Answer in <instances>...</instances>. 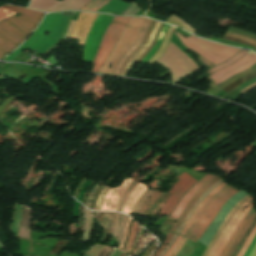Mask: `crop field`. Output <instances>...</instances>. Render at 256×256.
I'll use <instances>...</instances> for the list:
<instances>
[{"label":"crop field","mask_w":256,"mask_h":256,"mask_svg":"<svg viewBox=\"0 0 256 256\" xmlns=\"http://www.w3.org/2000/svg\"><path fill=\"white\" fill-rule=\"evenodd\" d=\"M109 2H110V0H92L80 10L96 11Z\"/></svg>","instance_id":"crop-field-30"},{"label":"crop field","mask_w":256,"mask_h":256,"mask_svg":"<svg viewBox=\"0 0 256 256\" xmlns=\"http://www.w3.org/2000/svg\"><path fill=\"white\" fill-rule=\"evenodd\" d=\"M254 205V203L252 202L251 205L244 209L242 214L240 215V217L238 218V220L235 222V224L232 226V228L229 230V232L227 233V235L225 236L224 240L222 241V243L220 244L219 248L217 249L216 253L214 256H219L220 252L222 251V249L224 248V246L226 245V243L228 242L229 238L231 237L232 233L234 232V230L236 229V227L238 226V224L240 223V221L243 219V217L246 215V213L250 210V208Z\"/></svg>","instance_id":"crop-field-22"},{"label":"crop field","mask_w":256,"mask_h":256,"mask_svg":"<svg viewBox=\"0 0 256 256\" xmlns=\"http://www.w3.org/2000/svg\"><path fill=\"white\" fill-rule=\"evenodd\" d=\"M75 12H63L62 14H64V15H73Z\"/></svg>","instance_id":"crop-field-57"},{"label":"crop field","mask_w":256,"mask_h":256,"mask_svg":"<svg viewBox=\"0 0 256 256\" xmlns=\"http://www.w3.org/2000/svg\"><path fill=\"white\" fill-rule=\"evenodd\" d=\"M120 213H116V218H115V226H114V232L113 235L117 237L118 229H119V223H120Z\"/></svg>","instance_id":"crop-field-39"},{"label":"crop field","mask_w":256,"mask_h":256,"mask_svg":"<svg viewBox=\"0 0 256 256\" xmlns=\"http://www.w3.org/2000/svg\"><path fill=\"white\" fill-rule=\"evenodd\" d=\"M250 197V195L246 196L245 198H243L241 201H239L232 209V211L228 214V216L225 218V220L223 221L222 225L220 226V228L218 229L217 233L215 234V236L213 237V239L211 240V242L209 243L205 253L203 256H206L208 254V252L210 251L211 247L213 246V244L215 243V241L217 240V238L219 237V235L221 234V232L223 231V229L226 227V225L229 223V221L231 220L232 216L234 215V213L248 200V198Z\"/></svg>","instance_id":"crop-field-16"},{"label":"crop field","mask_w":256,"mask_h":256,"mask_svg":"<svg viewBox=\"0 0 256 256\" xmlns=\"http://www.w3.org/2000/svg\"><path fill=\"white\" fill-rule=\"evenodd\" d=\"M9 9L21 15L3 22L1 20L17 13L0 7V59L19 46L44 15L14 6H9Z\"/></svg>","instance_id":"crop-field-1"},{"label":"crop field","mask_w":256,"mask_h":256,"mask_svg":"<svg viewBox=\"0 0 256 256\" xmlns=\"http://www.w3.org/2000/svg\"><path fill=\"white\" fill-rule=\"evenodd\" d=\"M185 241H186V238H183L180 245L175 249L174 253L171 256L176 255V253L180 250V248L182 247V245L184 244Z\"/></svg>","instance_id":"crop-field-49"},{"label":"crop field","mask_w":256,"mask_h":256,"mask_svg":"<svg viewBox=\"0 0 256 256\" xmlns=\"http://www.w3.org/2000/svg\"><path fill=\"white\" fill-rule=\"evenodd\" d=\"M151 21L152 20H150V19L146 20V22H145V24H144V26H143V28H142L138 38H137L135 44L133 45V47L126 54H124L122 56V58L120 59V61H119L118 65H117L113 75H118L119 74L121 68L123 67V65L125 64L127 59L130 57V55L132 53H134L135 50L141 45V43L143 41V38H144V36H145L149 26H150Z\"/></svg>","instance_id":"crop-field-15"},{"label":"crop field","mask_w":256,"mask_h":256,"mask_svg":"<svg viewBox=\"0 0 256 256\" xmlns=\"http://www.w3.org/2000/svg\"><path fill=\"white\" fill-rule=\"evenodd\" d=\"M113 17L114 16L101 14L96 18L94 25L87 36L82 60L92 62L101 39Z\"/></svg>","instance_id":"crop-field-9"},{"label":"crop field","mask_w":256,"mask_h":256,"mask_svg":"<svg viewBox=\"0 0 256 256\" xmlns=\"http://www.w3.org/2000/svg\"><path fill=\"white\" fill-rule=\"evenodd\" d=\"M132 180L125 179L120 187H116L115 189H110L106 194L103 204L100 208L101 211H115L117 204L124 194L125 190L129 186Z\"/></svg>","instance_id":"crop-field-12"},{"label":"crop field","mask_w":256,"mask_h":256,"mask_svg":"<svg viewBox=\"0 0 256 256\" xmlns=\"http://www.w3.org/2000/svg\"><path fill=\"white\" fill-rule=\"evenodd\" d=\"M255 70H256V68H254V69H252V70H249V71H247V72H245V73H243V74L237 76L236 78L232 79L231 81H229L228 83H226L225 85H223V86L220 87V88L222 89V88L226 87L227 85H229L230 83H232L233 81H235L236 79H238L239 77H241V76H243V75H245V74H248V73H250V72H253V71H255Z\"/></svg>","instance_id":"crop-field-44"},{"label":"crop field","mask_w":256,"mask_h":256,"mask_svg":"<svg viewBox=\"0 0 256 256\" xmlns=\"http://www.w3.org/2000/svg\"><path fill=\"white\" fill-rule=\"evenodd\" d=\"M168 28H169V25L165 24L164 28H163V30H162L159 38H158L157 44L150 50V52L147 54V56L144 58V60L142 62L147 63L148 60L152 57V55L157 51V49L159 48V46H160Z\"/></svg>","instance_id":"crop-field-29"},{"label":"crop field","mask_w":256,"mask_h":256,"mask_svg":"<svg viewBox=\"0 0 256 256\" xmlns=\"http://www.w3.org/2000/svg\"><path fill=\"white\" fill-rule=\"evenodd\" d=\"M163 25H164V24H162V26L160 27V29H159V31H158V34H159L160 30L162 29ZM158 34H157V36H158ZM157 36H156V38H157ZM156 38H155L153 44H152V45L149 47V49L146 51V53L138 60L139 62H140V61L143 59V57L148 53V51L153 47V45H154V43H155V41H156Z\"/></svg>","instance_id":"crop-field-48"},{"label":"crop field","mask_w":256,"mask_h":256,"mask_svg":"<svg viewBox=\"0 0 256 256\" xmlns=\"http://www.w3.org/2000/svg\"><path fill=\"white\" fill-rule=\"evenodd\" d=\"M184 226H185V224H182V225L177 229L176 233L179 234V232L181 231V229H182Z\"/></svg>","instance_id":"crop-field-56"},{"label":"crop field","mask_w":256,"mask_h":256,"mask_svg":"<svg viewBox=\"0 0 256 256\" xmlns=\"http://www.w3.org/2000/svg\"><path fill=\"white\" fill-rule=\"evenodd\" d=\"M234 57V56H233ZM256 63V55L253 52H246L241 50L234 58L218 65L217 67L207 71L211 74L214 72L222 70L214 73L213 75L209 76L214 83L217 85L224 79L250 67L251 65Z\"/></svg>","instance_id":"crop-field-6"},{"label":"crop field","mask_w":256,"mask_h":256,"mask_svg":"<svg viewBox=\"0 0 256 256\" xmlns=\"http://www.w3.org/2000/svg\"><path fill=\"white\" fill-rule=\"evenodd\" d=\"M161 23L156 22L153 31L151 33V35L149 36L147 42L145 45H142L137 52H135L133 54V56L129 59V61L126 63V65L124 66L122 72L120 73V75L125 76L128 71L133 67V65L136 63V61L141 57V55L147 50V48L151 45V43L154 40V37L156 35V32L158 30V28L160 27Z\"/></svg>","instance_id":"crop-field-14"},{"label":"crop field","mask_w":256,"mask_h":256,"mask_svg":"<svg viewBox=\"0 0 256 256\" xmlns=\"http://www.w3.org/2000/svg\"><path fill=\"white\" fill-rule=\"evenodd\" d=\"M97 187H98V185H95V187L93 188V190H92V192H91V194H90V196H89V199H88V202H87L86 207H89V204H90V201H91V198H92L93 192H94V190H95Z\"/></svg>","instance_id":"crop-field-52"},{"label":"crop field","mask_w":256,"mask_h":256,"mask_svg":"<svg viewBox=\"0 0 256 256\" xmlns=\"http://www.w3.org/2000/svg\"><path fill=\"white\" fill-rule=\"evenodd\" d=\"M249 256H256V246L254 247L253 251L251 252V254Z\"/></svg>","instance_id":"crop-field-55"},{"label":"crop field","mask_w":256,"mask_h":256,"mask_svg":"<svg viewBox=\"0 0 256 256\" xmlns=\"http://www.w3.org/2000/svg\"><path fill=\"white\" fill-rule=\"evenodd\" d=\"M213 175L206 174L200 181H198L195 185H193L183 196L177 207L173 210L170 217L177 219L179 215L183 212L187 204L190 202L194 194L201 189L211 178Z\"/></svg>","instance_id":"crop-field-13"},{"label":"crop field","mask_w":256,"mask_h":256,"mask_svg":"<svg viewBox=\"0 0 256 256\" xmlns=\"http://www.w3.org/2000/svg\"><path fill=\"white\" fill-rule=\"evenodd\" d=\"M127 216L123 215L122 214V218H121V224H120V229H119V233H118V241H119V244L121 242V239H122V235H123V230H124V224H125V220H126ZM119 246V245H118Z\"/></svg>","instance_id":"crop-field-37"},{"label":"crop field","mask_w":256,"mask_h":256,"mask_svg":"<svg viewBox=\"0 0 256 256\" xmlns=\"http://www.w3.org/2000/svg\"><path fill=\"white\" fill-rule=\"evenodd\" d=\"M160 193L155 192L152 197L149 199V201L146 203V205L143 207V209L140 211L139 214L144 215L145 211L147 210L148 206L154 201V199L159 195Z\"/></svg>","instance_id":"crop-field-38"},{"label":"crop field","mask_w":256,"mask_h":256,"mask_svg":"<svg viewBox=\"0 0 256 256\" xmlns=\"http://www.w3.org/2000/svg\"><path fill=\"white\" fill-rule=\"evenodd\" d=\"M145 21V18H132L128 26L125 28L123 31L122 35L120 36L116 46L106 59L105 63L103 66L100 67L98 72L101 73H107L111 74L113 73V70L121 58V56L127 52L132 45L134 44L141 27ZM111 62L112 68L107 69L109 63Z\"/></svg>","instance_id":"crop-field-4"},{"label":"crop field","mask_w":256,"mask_h":256,"mask_svg":"<svg viewBox=\"0 0 256 256\" xmlns=\"http://www.w3.org/2000/svg\"><path fill=\"white\" fill-rule=\"evenodd\" d=\"M91 223H92L91 211L85 208L84 209V232H83L84 241H88L90 238Z\"/></svg>","instance_id":"crop-field-25"},{"label":"crop field","mask_w":256,"mask_h":256,"mask_svg":"<svg viewBox=\"0 0 256 256\" xmlns=\"http://www.w3.org/2000/svg\"><path fill=\"white\" fill-rule=\"evenodd\" d=\"M177 37L183 42L185 46L189 49L195 51L200 54L204 58L208 59L212 63L218 65L230 57H232L235 53H237L240 49L232 48L227 46L218 45L213 42H209L206 40L195 38L194 36H190L189 38H185L183 35L174 32Z\"/></svg>","instance_id":"crop-field-3"},{"label":"crop field","mask_w":256,"mask_h":256,"mask_svg":"<svg viewBox=\"0 0 256 256\" xmlns=\"http://www.w3.org/2000/svg\"><path fill=\"white\" fill-rule=\"evenodd\" d=\"M219 179V177L215 176L212 180H210L201 190H199L195 196L193 197V199L191 200V202L188 204V206L186 207V209L184 210V212L182 213V215L180 216L179 220L177 221V223L171 228V232H173L178 225L182 222V220L184 219V217L187 215V213L190 211V209L193 207V205L195 204L197 198L203 194V192L209 188L214 182H216Z\"/></svg>","instance_id":"crop-field-19"},{"label":"crop field","mask_w":256,"mask_h":256,"mask_svg":"<svg viewBox=\"0 0 256 256\" xmlns=\"http://www.w3.org/2000/svg\"><path fill=\"white\" fill-rule=\"evenodd\" d=\"M255 87H256V83H254V84H252V85H250V86H248V87L242 89L240 92H242V93L244 94V93H246L247 91H249V90H251V89H253V88H255Z\"/></svg>","instance_id":"crop-field-50"},{"label":"crop field","mask_w":256,"mask_h":256,"mask_svg":"<svg viewBox=\"0 0 256 256\" xmlns=\"http://www.w3.org/2000/svg\"><path fill=\"white\" fill-rule=\"evenodd\" d=\"M175 30V27H172L170 26L166 36H165V39L163 41V44L161 46V48L157 51V53L149 60L148 63L150 64H153L155 63L165 52L167 46H168V43H169V40L171 38V34L172 32Z\"/></svg>","instance_id":"crop-field-24"},{"label":"crop field","mask_w":256,"mask_h":256,"mask_svg":"<svg viewBox=\"0 0 256 256\" xmlns=\"http://www.w3.org/2000/svg\"><path fill=\"white\" fill-rule=\"evenodd\" d=\"M61 13L54 14V16L49 21L46 29L38 37V39L32 43L29 47L38 51V54L44 53L51 46H53L58 40L68 16L60 15ZM45 31L51 32L48 36L44 34Z\"/></svg>","instance_id":"crop-field-8"},{"label":"crop field","mask_w":256,"mask_h":256,"mask_svg":"<svg viewBox=\"0 0 256 256\" xmlns=\"http://www.w3.org/2000/svg\"><path fill=\"white\" fill-rule=\"evenodd\" d=\"M145 185L142 184H138L132 194L130 195V197L128 198L126 204L123 207V212L126 214H130L135 206V204L137 203V201L139 200V198L141 197V195L143 194V192L145 191L146 187H144Z\"/></svg>","instance_id":"crop-field-18"},{"label":"crop field","mask_w":256,"mask_h":256,"mask_svg":"<svg viewBox=\"0 0 256 256\" xmlns=\"http://www.w3.org/2000/svg\"><path fill=\"white\" fill-rule=\"evenodd\" d=\"M256 244V235L255 237L253 238L249 248L247 249L246 253L244 254V256H248L250 254V252L252 251L253 247L255 246Z\"/></svg>","instance_id":"crop-field-43"},{"label":"crop field","mask_w":256,"mask_h":256,"mask_svg":"<svg viewBox=\"0 0 256 256\" xmlns=\"http://www.w3.org/2000/svg\"><path fill=\"white\" fill-rule=\"evenodd\" d=\"M171 236H172V234L169 233L168 236H167V238H166V240H165V242H164L163 245L161 246V248L159 247L160 249H159L153 256H158V255H159V253L162 251V249L166 246V244H167L168 241L170 240Z\"/></svg>","instance_id":"crop-field-42"},{"label":"crop field","mask_w":256,"mask_h":256,"mask_svg":"<svg viewBox=\"0 0 256 256\" xmlns=\"http://www.w3.org/2000/svg\"><path fill=\"white\" fill-rule=\"evenodd\" d=\"M176 237H177V235L176 234H174L173 235V237H172V239H171V241L169 242V244L167 245V247L165 248V250L162 252V254L160 255V256H163L165 253H166V251L170 248V246L173 244V242L175 241V239H176Z\"/></svg>","instance_id":"crop-field-45"},{"label":"crop field","mask_w":256,"mask_h":256,"mask_svg":"<svg viewBox=\"0 0 256 256\" xmlns=\"http://www.w3.org/2000/svg\"><path fill=\"white\" fill-rule=\"evenodd\" d=\"M229 28H230V27H229ZM230 29H234V28H230ZM234 30H237V29H234ZM237 31H241V30H237ZM241 32H244V33L249 34V35H251V36H253V37H256L255 35L250 34V33H247V32H245V31H241Z\"/></svg>","instance_id":"crop-field-58"},{"label":"crop field","mask_w":256,"mask_h":256,"mask_svg":"<svg viewBox=\"0 0 256 256\" xmlns=\"http://www.w3.org/2000/svg\"><path fill=\"white\" fill-rule=\"evenodd\" d=\"M107 190H108L107 187H104V189L102 190V192H101V194H100V196H99V199H98V201H97V203H96L95 210H98V209H99V207H100V205H101V202H102V200H103V198H104V196H105Z\"/></svg>","instance_id":"crop-field-40"},{"label":"crop field","mask_w":256,"mask_h":256,"mask_svg":"<svg viewBox=\"0 0 256 256\" xmlns=\"http://www.w3.org/2000/svg\"><path fill=\"white\" fill-rule=\"evenodd\" d=\"M153 193V191H150V190H146L144 192V194L142 195V197L140 198V200L138 201L135 209H134V212L138 213L139 209L141 208V206L145 203V201L150 197V195Z\"/></svg>","instance_id":"crop-field-32"},{"label":"crop field","mask_w":256,"mask_h":256,"mask_svg":"<svg viewBox=\"0 0 256 256\" xmlns=\"http://www.w3.org/2000/svg\"><path fill=\"white\" fill-rule=\"evenodd\" d=\"M239 189L226 186L215 194L206 204L202 213L197 217L190 230L187 232L185 237L197 241L202 233L206 230L209 224L212 222L215 214L219 208ZM196 243V242H195Z\"/></svg>","instance_id":"crop-field-2"},{"label":"crop field","mask_w":256,"mask_h":256,"mask_svg":"<svg viewBox=\"0 0 256 256\" xmlns=\"http://www.w3.org/2000/svg\"><path fill=\"white\" fill-rule=\"evenodd\" d=\"M228 31L235 32V33H237V34H239V35H242V36H245V37H248V38H251V39L256 40V38H253V37L248 36V35H246V34H244V33H241V32H237V31H233V30H229V29H228Z\"/></svg>","instance_id":"crop-field-53"},{"label":"crop field","mask_w":256,"mask_h":256,"mask_svg":"<svg viewBox=\"0 0 256 256\" xmlns=\"http://www.w3.org/2000/svg\"><path fill=\"white\" fill-rule=\"evenodd\" d=\"M224 180L223 179H219L212 187H210L208 190H206L204 192V194L199 197L197 203L194 205V207L192 208V210L190 211V213L187 215V217L183 220V221H187L190 219V217L193 215V213L196 211L197 207L199 206V204L201 203V201L204 199V197L206 195H208L214 188H216L220 183H222Z\"/></svg>","instance_id":"crop-field-28"},{"label":"crop field","mask_w":256,"mask_h":256,"mask_svg":"<svg viewBox=\"0 0 256 256\" xmlns=\"http://www.w3.org/2000/svg\"><path fill=\"white\" fill-rule=\"evenodd\" d=\"M157 62L172 72L174 84L199 69L188 56L171 42L169 43L166 54Z\"/></svg>","instance_id":"crop-field-5"},{"label":"crop field","mask_w":256,"mask_h":256,"mask_svg":"<svg viewBox=\"0 0 256 256\" xmlns=\"http://www.w3.org/2000/svg\"><path fill=\"white\" fill-rule=\"evenodd\" d=\"M74 23H75V21H71L70 26H69V29H68V31H67L65 37H64L65 40L68 39V37H69V35H70L71 29H72Z\"/></svg>","instance_id":"crop-field-47"},{"label":"crop field","mask_w":256,"mask_h":256,"mask_svg":"<svg viewBox=\"0 0 256 256\" xmlns=\"http://www.w3.org/2000/svg\"><path fill=\"white\" fill-rule=\"evenodd\" d=\"M225 185L224 182L218 187L216 188L212 193H210L208 196L205 197V199L203 200V202L200 204V206L198 207L197 211L195 212V214L192 216V218L189 220V222L187 223V225L185 226V228L180 232V235L184 236V234L186 233V231L189 229V227L191 226V224L193 223V221L195 220L196 216L199 214L200 210L204 207L206 201L211 198L215 193H217L220 189H222Z\"/></svg>","instance_id":"crop-field-23"},{"label":"crop field","mask_w":256,"mask_h":256,"mask_svg":"<svg viewBox=\"0 0 256 256\" xmlns=\"http://www.w3.org/2000/svg\"><path fill=\"white\" fill-rule=\"evenodd\" d=\"M253 200L252 197L249 198V200L236 212V214L233 216L232 220L230 221V223L227 225V227L224 229V231L222 232V234L220 235V237L218 238V240L216 241L215 245L213 246V248L211 249V251L209 252V254L207 256H212L214 254V252L216 251V249L218 248L220 242L222 241V239L224 238V236L226 235V233L228 232V230L231 228V226L233 225V223L236 221V219L239 217V215L241 214L242 210L249 204V202Z\"/></svg>","instance_id":"crop-field-20"},{"label":"crop field","mask_w":256,"mask_h":256,"mask_svg":"<svg viewBox=\"0 0 256 256\" xmlns=\"http://www.w3.org/2000/svg\"><path fill=\"white\" fill-rule=\"evenodd\" d=\"M167 23H171L174 25H178L180 27H182L183 29L191 32L194 34L195 30L193 28H191L189 25H187L185 22H183L182 20H180L177 16H175L174 14L167 20Z\"/></svg>","instance_id":"crop-field-31"},{"label":"crop field","mask_w":256,"mask_h":256,"mask_svg":"<svg viewBox=\"0 0 256 256\" xmlns=\"http://www.w3.org/2000/svg\"><path fill=\"white\" fill-rule=\"evenodd\" d=\"M99 14L81 12L72 30L70 38L79 39L78 44L84 45L86 36ZM96 20V19H95Z\"/></svg>","instance_id":"crop-field-11"},{"label":"crop field","mask_w":256,"mask_h":256,"mask_svg":"<svg viewBox=\"0 0 256 256\" xmlns=\"http://www.w3.org/2000/svg\"><path fill=\"white\" fill-rule=\"evenodd\" d=\"M182 236H178V238L176 239V241L174 242V244L172 245V247L169 249V251L165 254V256H170L174 249L176 248V246L179 244V242L181 241Z\"/></svg>","instance_id":"crop-field-41"},{"label":"crop field","mask_w":256,"mask_h":256,"mask_svg":"<svg viewBox=\"0 0 256 256\" xmlns=\"http://www.w3.org/2000/svg\"><path fill=\"white\" fill-rule=\"evenodd\" d=\"M255 234H256V225H255L254 229L252 230L250 236L248 237L247 241L245 242V244L243 245V247L239 251L237 256H242L245 253L248 245L250 244V242H251V240H252V238L254 237Z\"/></svg>","instance_id":"crop-field-33"},{"label":"crop field","mask_w":256,"mask_h":256,"mask_svg":"<svg viewBox=\"0 0 256 256\" xmlns=\"http://www.w3.org/2000/svg\"><path fill=\"white\" fill-rule=\"evenodd\" d=\"M129 220H130V218L127 219L125 233H124L123 240H122V242H121V244H120V247H119L120 249L122 248L124 239H125V237H126V230H127L128 224H129Z\"/></svg>","instance_id":"crop-field-51"},{"label":"crop field","mask_w":256,"mask_h":256,"mask_svg":"<svg viewBox=\"0 0 256 256\" xmlns=\"http://www.w3.org/2000/svg\"><path fill=\"white\" fill-rule=\"evenodd\" d=\"M177 178L179 181L169 192L172 195L162 207L160 214H169V212L172 210V208L175 206V204L178 202L184 192L196 182L194 178H192L185 172Z\"/></svg>","instance_id":"crop-field-10"},{"label":"crop field","mask_w":256,"mask_h":256,"mask_svg":"<svg viewBox=\"0 0 256 256\" xmlns=\"http://www.w3.org/2000/svg\"><path fill=\"white\" fill-rule=\"evenodd\" d=\"M255 211L254 207L251 210V212L248 214V216L239 224V226L237 227V229L235 230V232L233 233L232 237L230 238L229 242L227 243V245L225 246V248L223 249V251L221 252L220 256H224L225 253L227 252V250L229 249L230 245L232 244V242L234 241V239L236 238V236L238 235V233L240 232V230L242 229V227L244 226V224L246 223V221L249 219V217L252 215V213Z\"/></svg>","instance_id":"crop-field-26"},{"label":"crop field","mask_w":256,"mask_h":256,"mask_svg":"<svg viewBox=\"0 0 256 256\" xmlns=\"http://www.w3.org/2000/svg\"><path fill=\"white\" fill-rule=\"evenodd\" d=\"M154 24H155V22L153 21V22H152V24H151V26H150V29H149V31H148V33H147V35H146V37H145V39H144V41H143V43H142V44H144V43H145V41H146V39L148 38V36H149V34H150V32H151V30H152V28H153Z\"/></svg>","instance_id":"crop-field-54"},{"label":"crop field","mask_w":256,"mask_h":256,"mask_svg":"<svg viewBox=\"0 0 256 256\" xmlns=\"http://www.w3.org/2000/svg\"><path fill=\"white\" fill-rule=\"evenodd\" d=\"M31 212H32V210L25 207L22 222H21V226H20V230H19V237L20 238L29 239L28 232H29V227H30Z\"/></svg>","instance_id":"crop-field-21"},{"label":"crop field","mask_w":256,"mask_h":256,"mask_svg":"<svg viewBox=\"0 0 256 256\" xmlns=\"http://www.w3.org/2000/svg\"><path fill=\"white\" fill-rule=\"evenodd\" d=\"M136 182L132 181L131 185L129 186V188L127 189V191L125 192L124 196L122 197V199L120 200L119 204H118V207H117V210L118 212H120L121 210V207L127 197V195L129 194V192L132 190V188L135 186Z\"/></svg>","instance_id":"crop-field-34"},{"label":"crop field","mask_w":256,"mask_h":256,"mask_svg":"<svg viewBox=\"0 0 256 256\" xmlns=\"http://www.w3.org/2000/svg\"><path fill=\"white\" fill-rule=\"evenodd\" d=\"M254 67H256V64L253 65V66H251L250 68L246 69L245 71H247V70H249V69H252V68H254ZM245 71H243V72H245ZM243 72H241V73H243ZM241 73H239V74H241ZM239 74H237V75H239ZM237 75H234V76L228 78L226 81H224L223 83H221V84L218 85V86H219V87L222 86L223 84H225L226 82H228L229 80H231L232 78H234V77L237 76Z\"/></svg>","instance_id":"crop-field-46"},{"label":"crop field","mask_w":256,"mask_h":256,"mask_svg":"<svg viewBox=\"0 0 256 256\" xmlns=\"http://www.w3.org/2000/svg\"><path fill=\"white\" fill-rule=\"evenodd\" d=\"M137 226H138V224L136 222H134L133 226H132L131 233H130L129 241H128V243H127V245L125 247V250H124L126 252H127V250L129 249V247H130V245L132 243V239H133V236H134V234L136 232Z\"/></svg>","instance_id":"crop-field-36"},{"label":"crop field","mask_w":256,"mask_h":256,"mask_svg":"<svg viewBox=\"0 0 256 256\" xmlns=\"http://www.w3.org/2000/svg\"><path fill=\"white\" fill-rule=\"evenodd\" d=\"M53 16V14H48L43 21L42 25L32 34V36L15 52H13L11 55H9L7 58H5L3 61H10L15 56H17L19 53H21L28 45H30L32 42L36 40V38L41 34V32L45 29L48 21Z\"/></svg>","instance_id":"crop-field-17"},{"label":"crop field","mask_w":256,"mask_h":256,"mask_svg":"<svg viewBox=\"0 0 256 256\" xmlns=\"http://www.w3.org/2000/svg\"><path fill=\"white\" fill-rule=\"evenodd\" d=\"M131 17H118L112 20L111 24L109 25L102 42L100 44L99 50L93 60L94 63L92 72H97L100 65H103L105 59L113 49L117 39L121 35L122 31L128 24Z\"/></svg>","instance_id":"crop-field-7"},{"label":"crop field","mask_w":256,"mask_h":256,"mask_svg":"<svg viewBox=\"0 0 256 256\" xmlns=\"http://www.w3.org/2000/svg\"><path fill=\"white\" fill-rule=\"evenodd\" d=\"M140 9L132 2L129 7L122 13L127 15H134L136 14Z\"/></svg>","instance_id":"crop-field-35"},{"label":"crop field","mask_w":256,"mask_h":256,"mask_svg":"<svg viewBox=\"0 0 256 256\" xmlns=\"http://www.w3.org/2000/svg\"><path fill=\"white\" fill-rule=\"evenodd\" d=\"M256 216V211L253 215V217L250 219V221L246 224V226L242 229V231L239 233V235L237 236V238L235 239V241L233 242V244L231 245L230 249L228 250V252L226 253L225 256H231V254L233 253L234 249L236 248V246L238 245L239 241L241 240V238L243 237V235L245 234V232L247 231V229L249 228L250 224L252 223V221L254 220Z\"/></svg>","instance_id":"crop-field-27"}]
</instances>
